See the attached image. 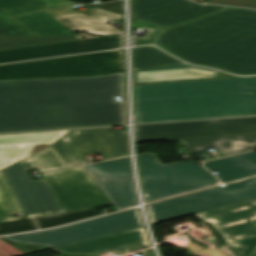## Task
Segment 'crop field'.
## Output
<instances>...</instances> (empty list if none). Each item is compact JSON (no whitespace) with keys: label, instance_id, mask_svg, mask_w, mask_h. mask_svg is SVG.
Segmentation results:
<instances>
[{"label":"crop field","instance_id":"32","mask_svg":"<svg viewBox=\"0 0 256 256\" xmlns=\"http://www.w3.org/2000/svg\"><path fill=\"white\" fill-rule=\"evenodd\" d=\"M210 3L241 6L256 9V0H211Z\"/></svg>","mask_w":256,"mask_h":256},{"label":"crop field","instance_id":"18","mask_svg":"<svg viewBox=\"0 0 256 256\" xmlns=\"http://www.w3.org/2000/svg\"><path fill=\"white\" fill-rule=\"evenodd\" d=\"M180 141L195 155L206 152V149L212 147H215L223 155L249 151L256 148V134L195 138Z\"/></svg>","mask_w":256,"mask_h":256},{"label":"crop field","instance_id":"6","mask_svg":"<svg viewBox=\"0 0 256 256\" xmlns=\"http://www.w3.org/2000/svg\"><path fill=\"white\" fill-rule=\"evenodd\" d=\"M140 226L143 224L139 218V209H133L59 229L7 236L3 239L10 244H21L16 247L29 254L41 250L22 246L23 244L37 245L49 250Z\"/></svg>","mask_w":256,"mask_h":256},{"label":"crop field","instance_id":"17","mask_svg":"<svg viewBox=\"0 0 256 256\" xmlns=\"http://www.w3.org/2000/svg\"><path fill=\"white\" fill-rule=\"evenodd\" d=\"M68 131L0 135V170L48 147Z\"/></svg>","mask_w":256,"mask_h":256},{"label":"crop field","instance_id":"30","mask_svg":"<svg viewBox=\"0 0 256 256\" xmlns=\"http://www.w3.org/2000/svg\"><path fill=\"white\" fill-rule=\"evenodd\" d=\"M37 230L32 219L19 220L0 224V235Z\"/></svg>","mask_w":256,"mask_h":256},{"label":"crop field","instance_id":"35","mask_svg":"<svg viewBox=\"0 0 256 256\" xmlns=\"http://www.w3.org/2000/svg\"><path fill=\"white\" fill-rule=\"evenodd\" d=\"M1 11V10H0Z\"/></svg>","mask_w":256,"mask_h":256},{"label":"crop field","instance_id":"11","mask_svg":"<svg viewBox=\"0 0 256 256\" xmlns=\"http://www.w3.org/2000/svg\"><path fill=\"white\" fill-rule=\"evenodd\" d=\"M136 141L256 133V117L135 126Z\"/></svg>","mask_w":256,"mask_h":256},{"label":"crop field","instance_id":"9","mask_svg":"<svg viewBox=\"0 0 256 256\" xmlns=\"http://www.w3.org/2000/svg\"><path fill=\"white\" fill-rule=\"evenodd\" d=\"M197 216L211 223L227 242L218 248L226 256H244L256 241V200Z\"/></svg>","mask_w":256,"mask_h":256},{"label":"crop field","instance_id":"31","mask_svg":"<svg viewBox=\"0 0 256 256\" xmlns=\"http://www.w3.org/2000/svg\"><path fill=\"white\" fill-rule=\"evenodd\" d=\"M131 26L133 28L143 27V28H146V29L153 30L145 39L134 37V41H135L136 46L152 44V42L154 41L157 34L159 33V31L162 28L160 26L152 25V24L141 22V21H138V20H136V25H133L132 24V19H131Z\"/></svg>","mask_w":256,"mask_h":256},{"label":"crop field","instance_id":"14","mask_svg":"<svg viewBox=\"0 0 256 256\" xmlns=\"http://www.w3.org/2000/svg\"><path fill=\"white\" fill-rule=\"evenodd\" d=\"M84 168L118 210L136 204L129 157Z\"/></svg>","mask_w":256,"mask_h":256},{"label":"crop field","instance_id":"1","mask_svg":"<svg viewBox=\"0 0 256 256\" xmlns=\"http://www.w3.org/2000/svg\"><path fill=\"white\" fill-rule=\"evenodd\" d=\"M124 72L0 81V133L123 124Z\"/></svg>","mask_w":256,"mask_h":256},{"label":"crop field","instance_id":"23","mask_svg":"<svg viewBox=\"0 0 256 256\" xmlns=\"http://www.w3.org/2000/svg\"><path fill=\"white\" fill-rule=\"evenodd\" d=\"M57 21L72 31H86L95 35L111 34L119 32L111 26H107L96 20L79 13L54 17Z\"/></svg>","mask_w":256,"mask_h":256},{"label":"crop field","instance_id":"5","mask_svg":"<svg viewBox=\"0 0 256 256\" xmlns=\"http://www.w3.org/2000/svg\"><path fill=\"white\" fill-rule=\"evenodd\" d=\"M124 71L123 50L0 66V80L104 75Z\"/></svg>","mask_w":256,"mask_h":256},{"label":"crop field","instance_id":"8","mask_svg":"<svg viewBox=\"0 0 256 256\" xmlns=\"http://www.w3.org/2000/svg\"><path fill=\"white\" fill-rule=\"evenodd\" d=\"M50 146L67 167L85 164L89 154L99 153L104 160L128 155L125 131L112 127L71 130Z\"/></svg>","mask_w":256,"mask_h":256},{"label":"crop field","instance_id":"34","mask_svg":"<svg viewBox=\"0 0 256 256\" xmlns=\"http://www.w3.org/2000/svg\"><path fill=\"white\" fill-rule=\"evenodd\" d=\"M249 256H256V248L252 251V253Z\"/></svg>","mask_w":256,"mask_h":256},{"label":"crop field","instance_id":"28","mask_svg":"<svg viewBox=\"0 0 256 256\" xmlns=\"http://www.w3.org/2000/svg\"><path fill=\"white\" fill-rule=\"evenodd\" d=\"M30 4L43 9L62 8L76 3L66 0H0V8L6 10Z\"/></svg>","mask_w":256,"mask_h":256},{"label":"crop field","instance_id":"21","mask_svg":"<svg viewBox=\"0 0 256 256\" xmlns=\"http://www.w3.org/2000/svg\"><path fill=\"white\" fill-rule=\"evenodd\" d=\"M210 171H217L218 178L227 182L256 174V153L251 152L231 158L210 161L204 164Z\"/></svg>","mask_w":256,"mask_h":256},{"label":"crop field","instance_id":"10","mask_svg":"<svg viewBox=\"0 0 256 256\" xmlns=\"http://www.w3.org/2000/svg\"><path fill=\"white\" fill-rule=\"evenodd\" d=\"M42 177L61 213L112 204L83 167L51 172Z\"/></svg>","mask_w":256,"mask_h":256},{"label":"crop field","instance_id":"7","mask_svg":"<svg viewBox=\"0 0 256 256\" xmlns=\"http://www.w3.org/2000/svg\"><path fill=\"white\" fill-rule=\"evenodd\" d=\"M256 199V177L148 205L152 224Z\"/></svg>","mask_w":256,"mask_h":256},{"label":"crop field","instance_id":"33","mask_svg":"<svg viewBox=\"0 0 256 256\" xmlns=\"http://www.w3.org/2000/svg\"><path fill=\"white\" fill-rule=\"evenodd\" d=\"M84 14H87L89 16H92L94 18H97L99 20H102L104 22H108V21H112V20H115V19H118V18H122V16H119V15H116V14H113V13H109V12H106V11H103V10H99V9H92ZM105 17H109L108 19H104Z\"/></svg>","mask_w":256,"mask_h":256},{"label":"crop field","instance_id":"19","mask_svg":"<svg viewBox=\"0 0 256 256\" xmlns=\"http://www.w3.org/2000/svg\"><path fill=\"white\" fill-rule=\"evenodd\" d=\"M219 71L193 67L188 64L133 71L135 83L161 82L218 77Z\"/></svg>","mask_w":256,"mask_h":256},{"label":"crop field","instance_id":"16","mask_svg":"<svg viewBox=\"0 0 256 256\" xmlns=\"http://www.w3.org/2000/svg\"><path fill=\"white\" fill-rule=\"evenodd\" d=\"M148 246L150 245L144 228L141 227L49 251L67 255L100 256L108 251L120 253Z\"/></svg>","mask_w":256,"mask_h":256},{"label":"crop field","instance_id":"15","mask_svg":"<svg viewBox=\"0 0 256 256\" xmlns=\"http://www.w3.org/2000/svg\"><path fill=\"white\" fill-rule=\"evenodd\" d=\"M119 39L120 35H110L83 41L0 51V63L118 48Z\"/></svg>","mask_w":256,"mask_h":256},{"label":"crop field","instance_id":"26","mask_svg":"<svg viewBox=\"0 0 256 256\" xmlns=\"http://www.w3.org/2000/svg\"><path fill=\"white\" fill-rule=\"evenodd\" d=\"M100 214H102L100 211H98L96 209H90V210H83V211L35 218V220H36L39 228L43 229V228L62 225L65 223L93 217V216L100 215Z\"/></svg>","mask_w":256,"mask_h":256},{"label":"crop field","instance_id":"12","mask_svg":"<svg viewBox=\"0 0 256 256\" xmlns=\"http://www.w3.org/2000/svg\"><path fill=\"white\" fill-rule=\"evenodd\" d=\"M35 168L37 167L32 157H29L3 170V173L27 217L59 214L44 180H32L28 170Z\"/></svg>","mask_w":256,"mask_h":256},{"label":"crop field","instance_id":"29","mask_svg":"<svg viewBox=\"0 0 256 256\" xmlns=\"http://www.w3.org/2000/svg\"><path fill=\"white\" fill-rule=\"evenodd\" d=\"M32 156L40 172L66 167L50 146Z\"/></svg>","mask_w":256,"mask_h":256},{"label":"crop field","instance_id":"4","mask_svg":"<svg viewBox=\"0 0 256 256\" xmlns=\"http://www.w3.org/2000/svg\"><path fill=\"white\" fill-rule=\"evenodd\" d=\"M146 203L216 184V179L195 162L163 165L157 156L137 155Z\"/></svg>","mask_w":256,"mask_h":256},{"label":"crop field","instance_id":"2","mask_svg":"<svg viewBox=\"0 0 256 256\" xmlns=\"http://www.w3.org/2000/svg\"><path fill=\"white\" fill-rule=\"evenodd\" d=\"M153 45L192 64L256 75V11L230 8L162 28Z\"/></svg>","mask_w":256,"mask_h":256},{"label":"crop field","instance_id":"3","mask_svg":"<svg viewBox=\"0 0 256 256\" xmlns=\"http://www.w3.org/2000/svg\"><path fill=\"white\" fill-rule=\"evenodd\" d=\"M136 123L256 115V77L134 86Z\"/></svg>","mask_w":256,"mask_h":256},{"label":"crop field","instance_id":"22","mask_svg":"<svg viewBox=\"0 0 256 256\" xmlns=\"http://www.w3.org/2000/svg\"><path fill=\"white\" fill-rule=\"evenodd\" d=\"M183 64L152 46L133 49V70Z\"/></svg>","mask_w":256,"mask_h":256},{"label":"crop field","instance_id":"20","mask_svg":"<svg viewBox=\"0 0 256 256\" xmlns=\"http://www.w3.org/2000/svg\"><path fill=\"white\" fill-rule=\"evenodd\" d=\"M7 12L41 36L75 34L52 19L40 8L27 5Z\"/></svg>","mask_w":256,"mask_h":256},{"label":"crop field","instance_id":"13","mask_svg":"<svg viewBox=\"0 0 256 256\" xmlns=\"http://www.w3.org/2000/svg\"><path fill=\"white\" fill-rule=\"evenodd\" d=\"M230 7L201 6L187 0H131V18L164 28Z\"/></svg>","mask_w":256,"mask_h":256},{"label":"crop field","instance_id":"27","mask_svg":"<svg viewBox=\"0 0 256 256\" xmlns=\"http://www.w3.org/2000/svg\"><path fill=\"white\" fill-rule=\"evenodd\" d=\"M37 36L5 12L0 13V39Z\"/></svg>","mask_w":256,"mask_h":256},{"label":"crop field","instance_id":"25","mask_svg":"<svg viewBox=\"0 0 256 256\" xmlns=\"http://www.w3.org/2000/svg\"><path fill=\"white\" fill-rule=\"evenodd\" d=\"M84 39H89V38H84ZM75 40H83V39H77L75 35H67V36L34 37V38L0 40V50L42 45V44H49V43L75 41Z\"/></svg>","mask_w":256,"mask_h":256},{"label":"crop field","instance_id":"24","mask_svg":"<svg viewBox=\"0 0 256 256\" xmlns=\"http://www.w3.org/2000/svg\"><path fill=\"white\" fill-rule=\"evenodd\" d=\"M22 212L2 171L0 172V222L21 219L13 218L12 213Z\"/></svg>","mask_w":256,"mask_h":256}]
</instances>
